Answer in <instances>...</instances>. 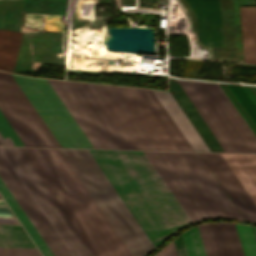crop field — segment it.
<instances>
[{
  "mask_svg": "<svg viewBox=\"0 0 256 256\" xmlns=\"http://www.w3.org/2000/svg\"><path fill=\"white\" fill-rule=\"evenodd\" d=\"M244 62L256 63V7H240Z\"/></svg>",
  "mask_w": 256,
  "mask_h": 256,
  "instance_id": "obj_17",
  "label": "crop field"
},
{
  "mask_svg": "<svg viewBox=\"0 0 256 256\" xmlns=\"http://www.w3.org/2000/svg\"><path fill=\"white\" fill-rule=\"evenodd\" d=\"M0 256H41L35 249L0 248Z\"/></svg>",
  "mask_w": 256,
  "mask_h": 256,
  "instance_id": "obj_27",
  "label": "crop field"
},
{
  "mask_svg": "<svg viewBox=\"0 0 256 256\" xmlns=\"http://www.w3.org/2000/svg\"><path fill=\"white\" fill-rule=\"evenodd\" d=\"M0 193L7 201L15 215L18 217L24 228L27 230L33 241L36 243L44 256H54L46 243L43 241L39 233L36 231L32 223L29 221L25 213L22 211L18 203L15 201L11 193L8 191L4 183L0 179Z\"/></svg>",
  "mask_w": 256,
  "mask_h": 256,
  "instance_id": "obj_19",
  "label": "crop field"
},
{
  "mask_svg": "<svg viewBox=\"0 0 256 256\" xmlns=\"http://www.w3.org/2000/svg\"><path fill=\"white\" fill-rule=\"evenodd\" d=\"M198 92L201 94L213 114L216 116L230 139L233 141L239 152L252 153L206 82L192 81Z\"/></svg>",
  "mask_w": 256,
  "mask_h": 256,
  "instance_id": "obj_15",
  "label": "crop field"
},
{
  "mask_svg": "<svg viewBox=\"0 0 256 256\" xmlns=\"http://www.w3.org/2000/svg\"><path fill=\"white\" fill-rule=\"evenodd\" d=\"M205 225L215 256H244L234 223Z\"/></svg>",
  "mask_w": 256,
  "mask_h": 256,
  "instance_id": "obj_10",
  "label": "crop field"
},
{
  "mask_svg": "<svg viewBox=\"0 0 256 256\" xmlns=\"http://www.w3.org/2000/svg\"><path fill=\"white\" fill-rule=\"evenodd\" d=\"M178 256H188L182 235L173 240ZM173 242L168 244L157 256H177Z\"/></svg>",
  "mask_w": 256,
  "mask_h": 256,
  "instance_id": "obj_25",
  "label": "crop field"
},
{
  "mask_svg": "<svg viewBox=\"0 0 256 256\" xmlns=\"http://www.w3.org/2000/svg\"><path fill=\"white\" fill-rule=\"evenodd\" d=\"M236 224L245 256H256V241L251 226Z\"/></svg>",
  "mask_w": 256,
  "mask_h": 256,
  "instance_id": "obj_21",
  "label": "crop field"
},
{
  "mask_svg": "<svg viewBox=\"0 0 256 256\" xmlns=\"http://www.w3.org/2000/svg\"><path fill=\"white\" fill-rule=\"evenodd\" d=\"M89 152L155 247L191 223L143 151Z\"/></svg>",
  "mask_w": 256,
  "mask_h": 256,
  "instance_id": "obj_3",
  "label": "crop field"
},
{
  "mask_svg": "<svg viewBox=\"0 0 256 256\" xmlns=\"http://www.w3.org/2000/svg\"><path fill=\"white\" fill-rule=\"evenodd\" d=\"M246 220L256 222V155L200 153Z\"/></svg>",
  "mask_w": 256,
  "mask_h": 256,
  "instance_id": "obj_6",
  "label": "crop field"
},
{
  "mask_svg": "<svg viewBox=\"0 0 256 256\" xmlns=\"http://www.w3.org/2000/svg\"><path fill=\"white\" fill-rule=\"evenodd\" d=\"M194 151H210L170 92L154 91Z\"/></svg>",
  "mask_w": 256,
  "mask_h": 256,
  "instance_id": "obj_11",
  "label": "crop field"
},
{
  "mask_svg": "<svg viewBox=\"0 0 256 256\" xmlns=\"http://www.w3.org/2000/svg\"><path fill=\"white\" fill-rule=\"evenodd\" d=\"M219 85L256 134V87L223 83Z\"/></svg>",
  "mask_w": 256,
  "mask_h": 256,
  "instance_id": "obj_13",
  "label": "crop field"
},
{
  "mask_svg": "<svg viewBox=\"0 0 256 256\" xmlns=\"http://www.w3.org/2000/svg\"><path fill=\"white\" fill-rule=\"evenodd\" d=\"M207 84L209 85V87L211 88V90L213 91V93L215 94V96L217 97V99L219 100V102L221 103V105L223 106V108L225 109V111L227 112V114L229 115V117L231 118V120L233 121V123L235 124V126L237 127V129L239 130V132L241 133V135L243 136V138L245 139V141L249 145V147L251 148V150L253 151V153H256L255 144L252 142V140L250 139L248 134L245 132L243 127L240 125L238 120L235 118V116L231 112V110L228 108L226 103L223 101L221 96L218 94V92L216 91L214 86L211 84V82H207Z\"/></svg>",
  "mask_w": 256,
  "mask_h": 256,
  "instance_id": "obj_23",
  "label": "crop field"
},
{
  "mask_svg": "<svg viewBox=\"0 0 256 256\" xmlns=\"http://www.w3.org/2000/svg\"><path fill=\"white\" fill-rule=\"evenodd\" d=\"M187 96L190 98L212 133L215 135L225 152H238L217 119L214 117L191 81L177 80Z\"/></svg>",
  "mask_w": 256,
  "mask_h": 256,
  "instance_id": "obj_14",
  "label": "crop field"
},
{
  "mask_svg": "<svg viewBox=\"0 0 256 256\" xmlns=\"http://www.w3.org/2000/svg\"><path fill=\"white\" fill-rule=\"evenodd\" d=\"M182 235H183L189 256H206L197 227H194L182 233Z\"/></svg>",
  "mask_w": 256,
  "mask_h": 256,
  "instance_id": "obj_22",
  "label": "crop field"
},
{
  "mask_svg": "<svg viewBox=\"0 0 256 256\" xmlns=\"http://www.w3.org/2000/svg\"><path fill=\"white\" fill-rule=\"evenodd\" d=\"M212 84L215 86V88L217 89V91L220 93V95L222 96V98L224 99V101L227 103V105L229 106V108L232 110V112L234 113V115L237 117V119L239 120V122L241 123V125L244 127V129L246 130V132L249 134V136L251 137V139L254 141V143L256 144V136L255 134L252 132V130L249 128V126L246 124V122L243 120V118L241 117V115L238 113V111L235 109V107L232 105V103L229 101V99L226 97V95L223 93V91L220 89V87L217 85V83H213Z\"/></svg>",
  "mask_w": 256,
  "mask_h": 256,
  "instance_id": "obj_26",
  "label": "crop field"
},
{
  "mask_svg": "<svg viewBox=\"0 0 256 256\" xmlns=\"http://www.w3.org/2000/svg\"><path fill=\"white\" fill-rule=\"evenodd\" d=\"M177 150L193 151L152 90L136 88Z\"/></svg>",
  "mask_w": 256,
  "mask_h": 256,
  "instance_id": "obj_12",
  "label": "crop field"
},
{
  "mask_svg": "<svg viewBox=\"0 0 256 256\" xmlns=\"http://www.w3.org/2000/svg\"><path fill=\"white\" fill-rule=\"evenodd\" d=\"M169 90L175 97L181 108L184 110L190 121L193 123L197 131L200 133L206 144L209 146L211 151L224 152V150L217 142L207 125L204 123L196 109L193 107L183 90L173 78L169 79Z\"/></svg>",
  "mask_w": 256,
  "mask_h": 256,
  "instance_id": "obj_16",
  "label": "crop field"
},
{
  "mask_svg": "<svg viewBox=\"0 0 256 256\" xmlns=\"http://www.w3.org/2000/svg\"><path fill=\"white\" fill-rule=\"evenodd\" d=\"M0 145H7V143H6L5 140L2 138L1 135H0Z\"/></svg>",
  "mask_w": 256,
  "mask_h": 256,
  "instance_id": "obj_30",
  "label": "crop field"
},
{
  "mask_svg": "<svg viewBox=\"0 0 256 256\" xmlns=\"http://www.w3.org/2000/svg\"><path fill=\"white\" fill-rule=\"evenodd\" d=\"M0 247L35 248L20 225L0 224Z\"/></svg>",
  "mask_w": 256,
  "mask_h": 256,
  "instance_id": "obj_20",
  "label": "crop field"
},
{
  "mask_svg": "<svg viewBox=\"0 0 256 256\" xmlns=\"http://www.w3.org/2000/svg\"><path fill=\"white\" fill-rule=\"evenodd\" d=\"M22 34L0 29V70L13 73Z\"/></svg>",
  "mask_w": 256,
  "mask_h": 256,
  "instance_id": "obj_18",
  "label": "crop field"
},
{
  "mask_svg": "<svg viewBox=\"0 0 256 256\" xmlns=\"http://www.w3.org/2000/svg\"><path fill=\"white\" fill-rule=\"evenodd\" d=\"M0 132L9 143V145L24 146L13 128L10 126L4 115L0 111Z\"/></svg>",
  "mask_w": 256,
  "mask_h": 256,
  "instance_id": "obj_24",
  "label": "crop field"
},
{
  "mask_svg": "<svg viewBox=\"0 0 256 256\" xmlns=\"http://www.w3.org/2000/svg\"><path fill=\"white\" fill-rule=\"evenodd\" d=\"M76 256H94L21 148L2 147ZM0 147V178L55 256H75Z\"/></svg>",
  "mask_w": 256,
  "mask_h": 256,
  "instance_id": "obj_4",
  "label": "crop field"
},
{
  "mask_svg": "<svg viewBox=\"0 0 256 256\" xmlns=\"http://www.w3.org/2000/svg\"><path fill=\"white\" fill-rule=\"evenodd\" d=\"M0 110L25 146L60 147L8 73L0 72Z\"/></svg>",
  "mask_w": 256,
  "mask_h": 256,
  "instance_id": "obj_7",
  "label": "crop field"
},
{
  "mask_svg": "<svg viewBox=\"0 0 256 256\" xmlns=\"http://www.w3.org/2000/svg\"><path fill=\"white\" fill-rule=\"evenodd\" d=\"M86 85L132 149L158 150L115 86Z\"/></svg>",
  "mask_w": 256,
  "mask_h": 256,
  "instance_id": "obj_8",
  "label": "crop field"
},
{
  "mask_svg": "<svg viewBox=\"0 0 256 256\" xmlns=\"http://www.w3.org/2000/svg\"><path fill=\"white\" fill-rule=\"evenodd\" d=\"M255 4V0H240V5Z\"/></svg>",
  "mask_w": 256,
  "mask_h": 256,
  "instance_id": "obj_29",
  "label": "crop field"
},
{
  "mask_svg": "<svg viewBox=\"0 0 256 256\" xmlns=\"http://www.w3.org/2000/svg\"><path fill=\"white\" fill-rule=\"evenodd\" d=\"M159 150H176L135 88L116 86Z\"/></svg>",
  "mask_w": 256,
  "mask_h": 256,
  "instance_id": "obj_9",
  "label": "crop field"
},
{
  "mask_svg": "<svg viewBox=\"0 0 256 256\" xmlns=\"http://www.w3.org/2000/svg\"><path fill=\"white\" fill-rule=\"evenodd\" d=\"M252 227H253L254 234H255V237H256V227L255 226H252Z\"/></svg>",
  "mask_w": 256,
  "mask_h": 256,
  "instance_id": "obj_31",
  "label": "crop field"
},
{
  "mask_svg": "<svg viewBox=\"0 0 256 256\" xmlns=\"http://www.w3.org/2000/svg\"><path fill=\"white\" fill-rule=\"evenodd\" d=\"M144 153L192 222L215 217L244 220L198 153Z\"/></svg>",
  "mask_w": 256,
  "mask_h": 256,
  "instance_id": "obj_5",
  "label": "crop field"
},
{
  "mask_svg": "<svg viewBox=\"0 0 256 256\" xmlns=\"http://www.w3.org/2000/svg\"><path fill=\"white\" fill-rule=\"evenodd\" d=\"M0 223L18 224L13 214L7 208L3 201H0Z\"/></svg>",
  "mask_w": 256,
  "mask_h": 256,
  "instance_id": "obj_28",
  "label": "crop field"
},
{
  "mask_svg": "<svg viewBox=\"0 0 256 256\" xmlns=\"http://www.w3.org/2000/svg\"><path fill=\"white\" fill-rule=\"evenodd\" d=\"M61 147L131 149L85 83L12 75Z\"/></svg>",
  "mask_w": 256,
  "mask_h": 256,
  "instance_id": "obj_2",
  "label": "crop field"
},
{
  "mask_svg": "<svg viewBox=\"0 0 256 256\" xmlns=\"http://www.w3.org/2000/svg\"><path fill=\"white\" fill-rule=\"evenodd\" d=\"M96 256H145L155 247L88 150L22 148Z\"/></svg>",
  "mask_w": 256,
  "mask_h": 256,
  "instance_id": "obj_1",
  "label": "crop field"
}]
</instances>
